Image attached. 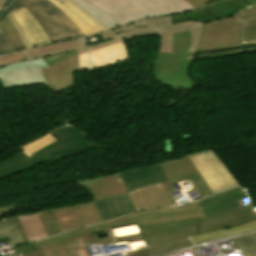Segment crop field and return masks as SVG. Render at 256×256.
I'll use <instances>...</instances> for the list:
<instances>
[{"mask_svg":"<svg viewBox=\"0 0 256 256\" xmlns=\"http://www.w3.org/2000/svg\"><path fill=\"white\" fill-rule=\"evenodd\" d=\"M252 203L223 216L199 220L204 216L196 202L174 208L149 209L133 213L110 222L71 230L60 234L68 256H87L79 238L81 235L108 228L140 225L150 251V256L193 245L187 236L239 226L256 220Z\"/></svg>","mask_w":256,"mask_h":256,"instance_id":"1","label":"crop field"},{"mask_svg":"<svg viewBox=\"0 0 256 256\" xmlns=\"http://www.w3.org/2000/svg\"><path fill=\"white\" fill-rule=\"evenodd\" d=\"M79 70L78 50L26 61L22 51L0 57V81L4 88L46 83L55 93L74 86Z\"/></svg>","mask_w":256,"mask_h":256,"instance_id":"2","label":"crop field"},{"mask_svg":"<svg viewBox=\"0 0 256 256\" xmlns=\"http://www.w3.org/2000/svg\"><path fill=\"white\" fill-rule=\"evenodd\" d=\"M209 6L220 20L204 25L196 52L240 47L242 21L256 17V5L247 0H217Z\"/></svg>","mask_w":256,"mask_h":256,"instance_id":"3","label":"crop field"},{"mask_svg":"<svg viewBox=\"0 0 256 256\" xmlns=\"http://www.w3.org/2000/svg\"><path fill=\"white\" fill-rule=\"evenodd\" d=\"M110 14L120 26L133 21L194 9L184 0H85Z\"/></svg>","mask_w":256,"mask_h":256,"instance_id":"4","label":"crop field"},{"mask_svg":"<svg viewBox=\"0 0 256 256\" xmlns=\"http://www.w3.org/2000/svg\"><path fill=\"white\" fill-rule=\"evenodd\" d=\"M190 45L189 31L174 34L172 54L159 52L153 76L161 83L177 90H190L195 83L188 76V69L194 57L187 51ZM179 90V89H178Z\"/></svg>","mask_w":256,"mask_h":256,"instance_id":"5","label":"crop field"},{"mask_svg":"<svg viewBox=\"0 0 256 256\" xmlns=\"http://www.w3.org/2000/svg\"><path fill=\"white\" fill-rule=\"evenodd\" d=\"M23 6L32 13L51 42L85 36L71 19L50 0H17L1 18L0 23L10 12Z\"/></svg>","mask_w":256,"mask_h":256,"instance_id":"6","label":"crop field"},{"mask_svg":"<svg viewBox=\"0 0 256 256\" xmlns=\"http://www.w3.org/2000/svg\"><path fill=\"white\" fill-rule=\"evenodd\" d=\"M189 157L213 194L239 185L212 149L189 154Z\"/></svg>","mask_w":256,"mask_h":256,"instance_id":"7","label":"crop field"},{"mask_svg":"<svg viewBox=\"0 0 256 256\" xmlns=\"http://www.w3.org/2000/svg\"><path fill=\"white\" fill-rule=\"evenodd\" d=\"M161 165L163 167V170L168 180V182L163 183V185L173 206L177 205L173 199L180 197L178 196L173 198L169 193L171 191H175V188L173 187L172 184L176 182L179 183L181 188H182L181 183L187 182L190 188H192L188 191L193 190L195 192L204 188L209 189V187L204 182L202 176L200 175V173L198 172V170L196 169V167L194 166V164L192 163L188 155L177 158V159H173L170 161L162 162ZM191 177L198 178V182H199L198 185L192 186V183L189 181V178Z\"/></svg>","mask_w":256,"mask_h":256,"instance_id":"8","label":"crop field"},{"mask_svg":"<svg viewBox=\"0 0 256 256\" xmlns=\"http://www.w3.org/2000/svg\"><path fill=\"white\" fill-rule=\"evenodd\" d=\"M203 25L204 24L201 22L186 21L184 23L165 27L163 30H152L151 28H148V27H136L130 31L119 33L117 35L122 39H127V38H132L137 36L160 34L161 41H160L159 51L171 53L173 33L190 30L191 46L189 50L195 52L200 41V35H201Z\"/></svg>","mask_w":256,"mask_h":256,"instance_id":"9","label":"crop field"},{"mask_svg":"<svg viewBox=\"0 0 256 256\" xmlns=\"http://www.w3.org/2000/svg\"><path fill=\"white\" fill-rule=\"evenodd\" d=\"M67 152L70 151L57 141L30 156L23 151L10 160L0 164V179L29 169L43 161L59 157Z\"/></svg>","mask_w":256,"mask_h":256,"instance_id":"10","label":"crop field"},{"mask_svg":"<svg viewBox=\"0 0 256 256\" xmlns=\"http://www.w3.org/2000/svg\"><path fill=\"white\" fill-rule=\"evenodd\" d=\"M61 231L102 222L93 201L52 209Z\"/></svg>","mask_w":256,"mask_h":256,"instance_id":"11","label":"crop field"},{"mask_svg":"<svg viewBox=\"0 0 256 256\" xmlns=\"http://www.w3.org/2000/svg\"><path fill=\"white\" fill-rule=\"evenodd\" d=\"M94 203L103 222L146 208L137 190L124 195L94 200Z\"/></svg>","mask_w":256,"mask_h":256,"instance_id":"12","label":"crop field"},{"mask_svg":"<svg viewBox=\"0 0 256 256\" xmlns=\"http://www.w3.org/2000/svg\"><path fill=\"white\" fill-rule=\"evenodd\" d=\"M248 203L250 202L246 198L244 190L241 188H233L197 201V204L206 216L201 219L223 215L240 208L242 204L245 205Z\"/></svg>","mask_w":256,"mask_h":256,"instance_id":"13","label":"crop field"},{"mask_svg":"<svg viewBox=\"0 0 256 256\" xmlns=\"http://www.w3.org/2000/svg\"><path fill=\"white\" fill-rule=\"evenodd\" d=\"M7 18L19 31L27 48L50 42L47 35L25 7L10 13Z\"/></svg>","mask_w":256,"mask_h":256,"instance_id":"14","label":"crop field"},{"mask_svg":"<svg viewBox=\"0 0 256 256\" xmlns=\"http://www.w3.org/2000/svg\"><path fill=\"white\" fill-rule=\"evenodd\" d=\"M119 174L128 192L150 184L167 181L160 163Z\"/></svg>","mask_w":256,"mask_h":256,"instance_id":"15","label":"crop field"},{"mask_svg":"<svg viewBox=\"0 0 256 256\" xmlns=\"http://www.w3.org/2000/svg\"><path fill=\"white\" fill-rule=\"evenodd\" d=\"M76 183L86 187L94 199L127 193L118 173Z\"/></svg>","mask_w":256,"mask_h":256,"instance_id":"16","label":"crop field"},{"mask_svg":"<svg viewBox=\"0 0 256 256\" xmlns=\"http://www.w3.org/2000/svg\"><path fill=\"white\" fill-rule=\"evenodd\" d=\"M51 1L67 14L86 36L106 31L70 1Z\"/></svg>","mask_w":256,"mask_h":256,"instance_id":"17","label":"crop field"},{"mask_svg":"<svg viewBox=\"0 0 256 256\" xmlns=\"http://www.w3.org/2000/svg\"><path fill=\"white\" fill-rule=\"evenodd\" d=\"M71 152L93 147L94 144L77 128L65 126L49 133Z\"/></svg>","mask_w":256,"mask_h":256,"instance_id":"18","label":"crop field"},{"mask_svg":"<svg viewBox=\"0 0 256 256\" xmlns=\"http://www.w3.org/2000/svg\"><path fill=\"white\" fill-rule=\"evenodd\" d=\"M91 68L107 66L120 60L128 59L124 42L91 51Z\"/></svg>","mask_w":256,"mask_h":256,"instance_id":"19","label":"crop field"},{"mask_svg":"<svg viewBox=\"0 0 256 256\" xmlns=\"http://www.w3.org/2000/svg\"><path fill=\"white\" fill-rule=\"evenodd\" d=\"M84 39L73 40L68 42H60L50 45H44L30 50L23 51L26 60L40 57H47L51 55H56L59 53H64L70 50H76L85 47Z\"/></svg>","mask_w":256,"mask_h":256,"instance_id":"20","label":"crop field"},{"mask_svg":"<svg viewBox=\"0 0 256 256\" xmlns=\"http://www.w3.org/2000/svg\"><path fill=\"white\" fill-rule=\"evenodd\" d=\"M252 231H256V221L239 226V227H235V228L201 233L190 238L194 242V244L197 245V244L214 241L218 239H223V238L244 234Z\"/></svg>","mask_w":256,"mask_h":256,"instance_id":"21","label":"crop field"},{"mask_svg":"<svg viewBox=\"0 0 256 256\" xmlns=\"http://www.w3.org/2000/svg\"><path fill=\"white\" fill-rule=\"evenodd\" d=\"M164 189L162 183H160L147 186L138 191L147 208L171 206Z\"/></svg>","mask_w":256,"mask_h":256,"instance_id":"22","label":"crop field"},{"mask_svg":"<svg viewBox=\"0 0 256 256\" xmlns=\"http://www.w3.org/2000/svg\"><path fill=\"white\" fill-rule=\"evenodd\" d=\"M62 1V0H61ZM106 30L120 27L108 14L98 10L84 0H70Z\"/></svg>","mask_w":256,"mask_h":256,"instance_id":"23","label":"crop field"},{"mask_svg":"<svg viewBox=\"0 0 256 256\" xmlns=\"http://www.w3.org/2000/svg\"><path fill=\"white\" fill-rule=\"evenodd\" d=\"M30 242L46 238L36 213L19 217Z\"/></svg>","mask_w":256,"mask_h":256,"instance_id":"24","label":"crop field"},{"mask_svg":"<svg viewBox=\"0 0 256 256\" xmlns=\"http://www.w3.org/2000/svg\"><path fill=\"white\" fill-rule=\"evenodd\" d=\"M171 18H172L173 24L183 22L186 20H196V21H201L203 23H206V22L218 19L215 13L213 12V10L209 6H206L202 9H198L191 13L173 16Z\"/></svg>","mask_w":256,"mask_h":256,"instance_id":"25","label":"crop field"},{"mask_svg":"<svg viewBox=\"0 0 256 256\" xmlns=\"http://www.w3.org/2000/svg\"><path fill=\"white\" fill-rule=\"evenodd\" d=\"M35 244L37 248L42 246L45 256H67L60 235L36 242Z\"/></svg>","mask_w":256,"mask_h":256,"instance_id":"26","label":"crop field"},{"mask_svg":"<svg viewBox=\"0 0 256 256\" xmlns=\"http://www.w3.org/2000/svg\"><path fill=\"white\" fill-rule=\"evenodd\" d=\"M5 236L10 246L24 243L12 218L0 222V238Z\"/></svg>","mask_w":256,"mask_h":256,"instance_id":"27","label":"crop field"},{"mask_svg":"<svg viewBox=\"0 0 256 256\" xmlns=\"http://www.w3.org/2000/svg\"><path fill=\"white\" fill-rule=\"evenodd\" d=\"M38 215L48 237L61 233L51 209L38 212Z\"/></svg>","mask_w":256,"mask_h":256,"instance_id":"28","label":"crop field"},{"mask_svg":"<svg viewBox=\"0 0 256 256\" xmlns=\"http://www.w3.org/2000/svg\"><path fill=\"white\" fill-rule=\"evenodd\" d=\"M0 25L7 33L14 51L26 49L25 45L23 44L20 38L18 31L12 26L13 24L11 25V23L7 20V18H5Z\"/></svg>","mask_w":256,"mask_h":256,"instance_id":"29","label":"crop field"},{"mask_svg":"<svg viewBox=\"0 0 256 256\" xmlns=\"http://www.w3.org/2000/svg\"><path fill=\"white\" fill-rule=\"evenodd\" d=\"M256 45V19L245 21L243 24L242 47Z\"/></svg>","mask_w":256,"mask_h":256,"instance_id":"30","label":"crop field"},{"mask_svg":"<svg viewBox=\"0 0 256 256\" xmlns=\"http://www.w3.org/2000/svg\"><path fill=\"white\" fill-rule=\"evenodd\" d=\"M235 241L246 256H256V234L235 238Z\"/></svg>","mask_w":256,"mask_h":256,"instance_id":"31","label":"crop field"},{"mask_svg":"<svg viewBox=\"0 0 256 256\" xmlns=\"http://www.w3.org/2000/svg\"><path fill=\"white\" fill-rule=\"evenodd\" d=\"M56 141L54 138H52L49 134L45 135L44 137L30 143L27 144L25 146H22L27 152H29L30 154L47 146L48 144L52 143Z\"/></svg>","mask_w":256,"mask_h":256,"instance_id":"32","label":"crop field"},{"mask_svg":"<svg viewBox=\"0 0 256 256\" xmlns=\"http://www.w3.org/2000/svg\"><path fill=\"white\" fill-rule=\"evenodd\" d=\"M15 253L23 252L24 256H44L42 248L36 249L35 244H27L13 248Z\"/></svg>","mask_w":256,"mask_h":256,"instance_id":"33","label":"crop field"},{"mask_svg":"<svg viewBox=\"0 0 256 256\" xmlns=\"http://www.w3.org/2000/svg\"><path fill=\"white\" fill-rule=\"evenodd\" d=\"M14 52L12 49V46L3 31V29L0 27V55H6L9 53Z\"/></svg>","mask_w":256,"mask_h":256,"instance_id":"34","label":"crop field"},{"mask_svg":"<svg viewBox=\"0 0 256 256\" xmlns=\"http://www.w3.org/2000/svg\"><path fill=\"white\" fill-rule=\"evenodd\" d=\"M148 27L153 29H163V27L172 24L170 17L149 19L146 21Z\"/></svg>","mask_w":256,"mask_h":256,"instance_id":"35","label":"crop field"},{"mask_svg":"<svg viewBox=\"0 0 256 256\" xmlns=\"http://www.w3.org/2000/svg\"><path fill=\"white\" fill-rule=\"evenodd\" d=\"M135 26H146V24H145L144 21H142V22H139V23H135V24H131L129 26L122 27L120 29H116V30H113V31H110V32L100 34V36L102 37L103 42H105V41H108L110 38H112L118 32L127 31V30H129V29H131Z\"/></svg>","mask_w":256,"mask_h":256,"instance_id":"36","label":"crop field"},{"mask_svg":"<svg viewBox=\"0 0 256 256\" xmlns=\"http://www.w3.org/2000/svg\"><path fill=\"white\" fill-rule=\"evenodd\" d=\"M122 41V39H120L117 35H115L110 41L108 42H105V43H101V44H97V45H93V46H89V51L90 50H94V49H98V48H102L104 46H107V45H110V44H113V43H117V42H120Z\"/></svg>","mask_w":256,"mask_h":256,"instance_id":"37","label":"crop field"},{"mask_svg":"<svg viewBox=\"0 0 256 256\" xmlns=\"http://www.w3.org/2000/svg\"><path fill=\"white\" fill-rule=\"evenodd\" d=\"M186 1L189 2L191 5H193L195 8H199L215 0H186Z\"/></svg>","mask_w":256,"mask_h":256,"instance_id":"38","label":"crop field"},{"mask_svg":"<svg viewBox=\"0 0 256 256\" xmlns=\"http://www.w3.org/2000/svg\"><path fill=\"white\" fill-rule=\"evenodd\" d=\"M80 69L88 68V53L79 55Z\"/></svg>","mask_w":256,"mask_h":256,"instance_id":"39","label":"crop field"},{"mask_svg":"<svg viewBox=\"0 0 256 256\" xmlns=\"http://www.w3.org/2000/svg\"><path fill=\"white\" fill-rule=\"evenodd\" d=\"M127 256H148L145 248L126 253Z\"/></svg>","mask_w":256,"mask_h":256,"instance_id":"40","label":"crop field"},{"mask_svg":"<svg viewBox=\"0 0 256 256\" xmlns=\"http://www.w3.org/2000/svg\"><path fill=\"white\" fill-rule=\"evenodd\" d=\"M13 219H14V221H15V223H16V225H17L19 231H20V234H21V236H22L24 242H25V243H28L29 241H28V239H27V237H26V234H25V232H24V230H23V228H22V226H21V224H20L18 218H17V217H13Z\"/></svg>","mask_w":256,"mask_h":256,"instance_id":"41","label":"crop field"},{"mask_svg":"<svg viewBox=\"0 0 256 256\" xmlns=\"http://www.w3.org/2000/svg\"><path fill=\"white\" fill-rule=\"evenodd\" d=\"M16 209L15 205H10V206H5V207H1L0 208V219L7 213H9L10 211Z\"/></svg>","mask_w":256,"mask_h":256,"instance_id":"42","label":"crop field"},{"mask_svg":"<svg viewBox=\"0 0 256 256\" xmlns=\"http://www.w3.org/2000/svg\"><path fill=\"white\" fill-rule=\"evenodd\" d=\"M88 52L87 48L79 49V54Z\"/></svg>","mask_w":256,"mask_h":256,"instance_id":"43","label":"crop field"},{"mask_svg":"<svg viewBox=\"0 0 256 256\" xmlns=\"http://www.w3.org/2000/svg\"><path fill=\"white\" fill-rule=\"evenodd\" d=\"M3 1V3L6 5V4H8L11 0H2Z\"/></svg>","mask_w":256,"mask_h":256,"instance_id":"44","label":"crop field"},{"mask_svg":"<svg viewBox=\"0 0 256 256\" xmlns=\"http://www.w3.org/2000/svg\"><path fill=\"white\" fill-rule=\"evenodd\" d=\"M3 6H5V5H4V4L2 3V1L0 0V9H2Z\"/></svg>","mask_w":256,"mask_h":256,"instance_id":"45","label":"crop field"},{"mask_svg":"<svg viewBox=\"0 0 256 256\" xmlns=\"http://www.w3.org/2000/svg\"><path fill=\"white\" fill-rule=\"evenodd\" d=\"M249 2H251L253 5L256 4V0H248Z\"/></svg>","mask_w":256,"mask_h":256,"instance_id":"46","label":"crop field"},{"mask_svg":"<svg viewBox=\"0 0 256 256\" xmlns=\"http://www.w3.org/2000/svg\"><path fill=\"white\" fill-rule=\"evenodd\" d=\"M191 251L193 252V254H194L195 256H198V255L196 254L195 250L191 249Z\"/></svg>","mask_w":256,"mask_h":256,"instance_id":"47","label":"crop field"}]
</instances>
